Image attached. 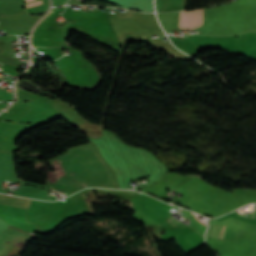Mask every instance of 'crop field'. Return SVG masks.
Masks as SVG:
<instances>
[{
    "label": "crop field",
    "mask_w": 256,
    "mask_h": 256,
    "mask_svg": "<svg viewBox=\"0 0 256 256\" xmlns=\"http://www.w3.org/2000/svg\"><path fill=\"white\" fill-rule=\"evenodd\" d=\"M202 10L191 11V12H170V13H157L159 21L165 31L178 28L179 24V15H180V24L179 28L193 29L200 26ZM204 12V10H203ZM203 16V13H202ZM202 24V20H201Z\"/></svg>",
    "instance_id": "1"
},
{
    "label": "crop field",
    "mask_w": 256,
    "mask_h": 256,
    "mask_svg": "<svg viewBox=\"0 0 256 256\" xmlns=\"http://www.w3.org/2000/svg\"><path fill=\"white\" fill-rule=\"evenodd\" d=\"M40 4H42V0H41V1H38V2H35V3H32V4H28V5L26 6V8L32 7V6H36V5H40Z\"/></svg>",
    "instance_id": "2"
},
{
    "label": "crop field",
    "mask_w": 256,
    "mask_h": 256,
    "mask_svg": "<svg viewBox=\"0 0 256 256\" xmlns=\"http://www.w3.org/2000/svg\"><path fill=\"white\" fill-rule=\"evenodd\" d=\"M224 227H225V226H223V228H222V232H221V236H220V238L222 237V234H223V230H224Z\"/></svg>",
    "instance_id": "3"
},
{
    "label": "crop field",
    "mask_w": 256,
    "mask_h": 256,
    "mask_svg": "<svg viewBox=\"0 0 256 256\" xmlns=\"http://www.w3.org/2000/svg\"><path fill=\"white\" fill-rule=\"evenodd\" d=\"M29 1H32V0H28V2H29Z\"/></svg>",
    "instance_id": "4"
}]
</instances>
